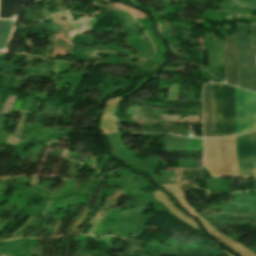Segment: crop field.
I'll return each instance as SVG.
<instances>
[{
  "label": "crop field",
  "mask_w": 256,
  "mask_h": 256,
  "mask_svg": "<svg viewBox=\"0 0 256 256\" xmlns=\"http://www.w3.org/2000/svg\"><path fill=\"white\" fill-rule=\"evenodd\" d=\"M238 171L242 177H256V131L235 136Z\"/></svg>",
  "instance_id": "f4fd0767"
},
{
  "label": "crop field",
  "mask_w": 256,
  "mask_h": 256,
  "mask_svg": "<svg viewBox=\"0 0 256 256\" xmlns=\"http://www.w3.org/2000/svg\"><path fill=\"white\" fill-rule=\"evenodd\" d=\"M238 5L255 7L256 8V0H234Z\"/></svg>",
  "instance_id": "3316defc"
},
{
  "label": "crop field",
  "mask_w": 256,
  "mask_h": 256,
  "mask_svg": "<svg viewBox=\"0 0 256 256\" xmlns=\"http://www.w3.org/2000/svg\"><path fill=\"white\" fill-rule=\"evenodd\" d=\"M202 101L204 137H214L213 84L204 85Z\"/></svg>",
  "instance_id": "e52e79f7"
},
{
  "label": "crop field",
  "mask_w": 256,
  "mask_h": 256,
  "mask_svg": "<svg viewBox=\"0 0 256 256\" xmlns=\"http://www.w3.org/2000/svg\"><path fill=\"white\" fill-rule=\"evenodd\" d=\"M215 137L235 134L234 87L214 84Z\"/></svg>",
  "instance_id": "ac0d7876"
},
{
  "label": "crop field",
  "mask_w": 256,
  "mask_h": 256,
  "mask_svg": "<svg viewBox=\"0 0 256 256\" xmlns=\"http://www.w3.org/2000/svg\"><path fill=\"white\" fill-rule=\"evenodd\" d=\"M236 134L256 129V94L235 87Z\"/></svg>",
  "instance_id": "412701ff"
},
{
  "label": "crop field",
  "mask_w": 256,
  "mask_h": 256,
  "mask_svg": "<svg viewBox=\"0 0 256 256\" xmlns=\"http://www.w3.org/2000/svg\"><path fill=\"white\" fill-rule=\"evenodd\" d=\"M226 56V82L239 86L236 34L224 38Z\"/></svg>",
  "instance_id": "dd49c442"
},
{
  "label": "crop field",
  "mask_w": 256,
  "mask_h": 256,
  "mask_svg": "<svg viewBox=\"0 0 256 256\" xmlns=\"http://www.w3.org/2000/svg\"><path fill=\"white\" fill-rule=\"evenodd\" d=\"M13 22V20H0V50L6 45Z\"/></svg>",
  "instance_id": "5a996713"
},
{
  "label": "crop field",
  "mask_w": 256,
  "mask_h": 256,
  "mask_svg": "<svg viewBox=\"0 0 256 256\" xmlns=\"http://www.w3.org/2000/svg\"><path fill=\"white\" fill-rule=\"evenodd\" d=\"M207 169L212 176L238 175L234 137L205 139Z\"/></svg>",
  "instance_id": "8a807250"
},
{
  "label": "crop field",
  "mask_w": 256,
  "mask_h": 256,
  "mask_svg": "<svg viewBox=\"0 0 256 256\" xmlns=\"http://www.w3.org/2000/svg\"><path fill=\"white\" fill-rule=\"evenodd\" d=\"M255 51H256V48H255Z\"/></svg>",
  "instance_id": "d1516ede"
},
{
  "label": "crop field",
  "mask_w": 256,
  "mask_h": 256,
  "mask_svg": "<svg viewBox=\"0 0 256 256\" xmlns=\"http://www.w3.org/2000/svg\"><path fill=\"white\" fill-rule=\"evenodd\" d=\"M251 44L256 45V25H253L252 27Z\"/></svg>",
  "instance_id": "28ad6ade"
},
{
  "label": "crop field",
  "mask_w": 256,
  "mask_h": 256,
  "mask_svg": "<svg viewBox=\"0 0 256 256\" xmlns=\"http://www.w3.org/2000/svg\"><path fill=\"white\" fill-rule=\"evenodd\" d=\"M239 45L240 86L256 91L254 80V50L249 48V25H237Z\"/></svg>",
  "instance_id": "34b2d1b8"
},
{
  "label": "crop field",
  "mask_w": 256,
  "mask_h": 256,
  "mask_svg": "<svg viewBox=\"0 0 256 256\" xmlns=\"http://www.w3.org/2000/svg\"><path fill=\"white\" fill-rule=\"evenodd\" d=\"M32 1L35 0H0V18H15V4Z\"/></svg>",
  "instance_id": "d8731c3e"
}]
</instances>
